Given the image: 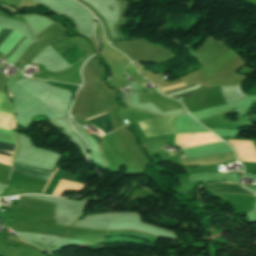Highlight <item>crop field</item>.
I'll return each mask as SVG.
<instances>
[{"instance_id":"1","label":"crop field","mask_w":256,"mask_h":256,"mask_svg":"<svg viewBox=\"0 0 256 256\" xmlns=\"http://www.w3.org/2000/svg\"><path fill=\"white\" fill-rule=\"evenodd\" d=\"M57 169V168H56ZM56 169L52 172L50 170H45V169H40V168H35V167H30V166H24V165H19V164H14L12 163V173L13 174H18V175H23V176H28V177H33V178H39V179H44L46 180L48 178V180L50 179V177L53 175V173L56 171ZM64 174V172L60 171L59 168L57 169V171L54 173V175L51 177V179L48 181H46V186L45 184L43 185V187L40 189L39 192L43 193H49L52 194L55 186L57 185L59 179L62 177V175Z\"/></svg>"},{"instance_id":"10","label":"crop field","mask_w":256,"mask_h":256,"mask_svg":"<svg viewBox=\"0 0 256 256\" xmlns=\"http://www.w3.org/2000/svg\"><path fill=\"white\" fill-rule=\"evenodd\" d=\"M15 123H16V121H15V120H13V121H12V129H14V128H15Z\"/></svg>"},{"instance_id":"4","label":"crop field","mask_w":256,"mask_h":256,"mask_svg":"<svg viewBox=\"0 0 256 256\" xmlns=\"http://www.w3.org/2000/svg\"><path fill=\"white\" fill-rule=\"evenodd\" d=\"M235 55L233 54V52L230 50L229 52H227L225 55H223L221 58L217 59L216 61L212 62L211 64L203 67L202 69L205 70L207 73L212 72L213 70L217 69L218 67H220L221 65H223L224 63H226L228 60H230L232 57H234Z\"/></svg>"},{"instance_id":"6","label":"crop field","mask_w":256,"mask_h":256,"mask_svg":"<svg viewBox=\"0 0 256 256\" xmlns=\"http://www.w3.org/2000/svg\"><path fill=\"white\" fill-rule=\"evenodd\" d=\"M13 149L14 145L0 142V150L13 152Z\"/></svg>"},{"instance_id":"12","label":"crop field","mask_w":256,"mask_h":256,"mask_svg":"<svg viewBox=\"0 0 256 256\" xmlns=\"http://www.w3.org/2000/svg\"><path fill=\"white\" fill-rule=\"evenodd\" d=\"M170 155H175V153H170Z\"/></svg>"},{"instance_id":"3","label":"crop field","mask_w":256,"mask_h":256,"mask_svg":"<svg viewBox=\"0 0 256 256\" xmlns=\"http://www.w3.org/2000/svg\"><path fill=\"white\" fill-rule=\"evenodd\" d=\"M245 189L242 184L218 183L206 185V190L213 193H239L253 195Z\"/></svg>"},{"instance_id":"2","label":"crop field","mask_w":256,"mask_h":256,"mask_svg":"<svg viewBox=\"0 0 256 256\" xmlns=\"http://www.w3.org/2000/svg\"><path fill=\"white\" fill-rule=\"evenodd\" d=\"M49 45L71 66L87 56L78 46L71 42L65 34Z\"/></svg>"},{"instance_id":"5","label":"crop field","mask_w":256,"mask_h":256,"mask_svg":"<svg viewBox=\"0 0 256 256\" xmlns=\"http://www.w3.org/2000/svg\"><path fill=\"white\" fill-rule=\"evenodd\" d=\"M106 114V113H105ZM103 115V114H102ZM100 116V115H99ZM97 117V116H96ZM94 118V117H93ZM91 119V118H90ZM88 120V119H87ZM94 124H97L102 131H104L105 133L113 131V128L110 125V119L108 117V114L88 120Z\"/></svg>"},{"instance_id":"8","label":"crop field","mask_w":256,"mask_h":256,"mask_svg":"<svg viewBox=\"0 0 256 256\" xmlns=\"http://www.w3.org/2000/svg\"><path fill=\"white\" fill-rule=\"evenodd\" d=\"M191 92H187V93H183V94H179V95H175V96H171V97L176 98V97L182 96V98L184 99V98H188L190 96Z\"/></svg>"},{"instance_id":"11","label":"crop field","mask_w":256,"mask_h":256,"mask_svg":"<svg viewBox=\"0 0 256 256\" xmlns=\"http://www.w3.org/2000/svg\"><path fill=\"white\" fill-rule=\"evenodd\" d=\"M0 154H2V155H6V156H10V157H11V155H10V154H6V153H3V152H0Z\"/></svg>"},{"instance_id":"13","label":"crop field","mask_w":256,"mask_h":256,"mask_svg":"<svg viewBox=\"0 0 256 256\" xmlns=\"http://www.w3.org/2000/svg\"><path fill=\"white\" fill-rule=\"evenodd\" d=\"M255 204H256V202H255ZM255 207H256V205H255Z\"/></svg>"},{"instance_id":"7","label":"crop field","mask_w":256,"mask_h":256,"mask_svg":"<svg viewBox=\"0 0 256 256\" xmlns=\"http://www.w3.org/2000/svg\"><path fill=\"white\" fill-rule=\"evenodd\" d=\"M5 29H1L0 30V34L4 31ZM12 31H9V30H5L2 35L0 36V44L9 36V34L11 33Z\"/></svg>"},{"instance_id":"9","label":"crop field","mask_w":256,"mask_h":256,"mask_svg":"<svg viewBox=\"0 0 256 256\" xmlns=\"http://www.w3.org/2000/svg\"><path fill=\"white\" fill-rule=\"evenodd\" d=\"M194 85H195V84H192V85H190V86H186V87H183V88L171 90V91H168V92H172V91H177V90L185 89V88H188V87H192V86H194ZM168 92H165V93H168ZM162 93H163V92H162ZM165 93H164V94H165Z\"/></svg>"}]
</instances>
